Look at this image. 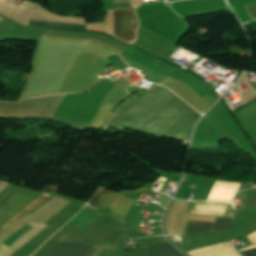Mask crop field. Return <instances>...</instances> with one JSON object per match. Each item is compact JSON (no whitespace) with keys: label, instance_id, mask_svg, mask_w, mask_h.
I'll list each match as a JSON object with an SVG mask.
<instances>
[{"label":"crop field","instance_id":"obj_6","mask_svg":"<svg viewBox=\"0 0 256 256\" xmlns=\"http://www.w3.org/2000/svg\"><path fill=\"white\" fill-rule=\"evenodd\" d=\"M96 247L58 243L45 256H89Z\"/></svg>","mask_w":256,"mask_h":256},{"label":"crop field","instance_id":"obj_1","mask_svg":"<svg viewBox=\"0 0 256 256\" xmlns=\"http://www.w3.org/2000/svg\"><path fill=\"white\" fill-rule=\"evenodd\" d=\"M199 116L200 115L198 113L189 108L170 92L161 87H156L132 108L116 119L112 124L131 125L134 127L175 135ZM195 121L175 135V137L186 140ZM140 128L135 129L160 134ZM166 136L173 137L172 135Z\"/></svg>","mask_w":256,"mask_h":256},{"label":"crop field","instance_id":"obj_7","mask_svg":"<svg viewBox=\"0 0 256 256\" xmlns=\"http://www.w3.org/2000/svg\"><path fill=\"white\" fill-rule=\"evenodd\" d=\"M148 256H183L168 243L149 246Z\"/></svg>","mask_w":256,"mask_h":256},{"label":"crop field","instance_id":"obj_13","mask_svg":"<svg viewBox=\"0 0 256 256\" xmlns=\"http://www.w3.org/2000/svg\"><path fill=\"white\" fill-rule=\"evenodd\" d=\"M253 18H256V4L247 6Z\"/></svg>","mask_w":256,"mask_h":256},{"label":"crop field","instance_id":"obj_9","mask_svg":"<svg viewBox=\"0 0 256 256\" xmlns=\"http://www.w3.org/2000/svg\"><path fill=\"white\" fill-rule=\"evenodd\" d=\"M28 25H37V26H47V27H57V28L85 30V25L47 23V22L34 21V20H30Z\"/></svg>","mask_w":256,"mask_h":256},{"label":"crop field","instance_id":"obj_12","mask_svg":"<svg viewBox=\"0 0 256 256\" xmlns=\"http://www.w3.org/2000/svg\"><path fill=\"white\" fill-rule=\"evenodd\" d=\"M244 256H256V248L242 251L241 252Z\"/></svg>","mask_w":256,"mask_h":256},{"label":"crop field","instance_id":"obj_14","mask_svg":"<svg viewBox=\"0 0 256 256\" xmlns=\"http://www.w3.org/2000/svg\"><path fill=\"white\" fill-rule=\"evenodd\" d=\"M3 183V181L0 180V185Z\"/></svg>","mask_w":256,"mask_h":256},{"label":"crop field","instance_id":"obj_11","mask_svg":"<svg viewBox=\"0 0 256 256\" xmlns=\"http://www.w3.org/2000/svg\"><path fill=\"white\" fill-rule=\"evenodd\" d=\"M234 218L218 217L213 232L231 230Z\"/></svg>","mask_w":256,"mask_h":256},{"label":"crop field","instance_id":"obj_3","mask_svg":"<svg viewBox=\"0 0 256 256\" xmlns=\"http://www.w3.org/2000/svg\"><path fill=\"white\" fill-rule=\"evenodd\" d=\"M64 95L41 97L19 101L17 103H0V116H27L51 118Z\"/></svg>","mask_w":256,"mask_h":256},{"label":"crop field","instance_id":"obj_5","mask_svg":"<svg viewBox=\"0 0 256 256\" xmlns=\"http://www.w3.org/2000/svg\"><path fill=\"white\" fill-rule=\"evenodd\" d=\"M138 19L134 9L114 10V36L131 44L135 40Z\"/></svg>","mask_w":256,"mask_h":256},{"label":"crop field","instance_id":"obj_4","mask_svg":"<svg viewBox=\"0 0 256 256\" xmlns=\"http://www.w3.org/2000/svg\"><path fill=\"white\" fill-rule=\"evenodd\" d=\"M134 200L99 186L87 206L100 210L124 222L128 209Z\"/></svg>","mask_w":256,"mask_h":256},{"label":"crop field","instance_id":"obj_2","mask_svg":"<svg viewBox=\"0 0 256 256\" xmlns=\"http://www.w3.org/2000/svg\"><path fill=\"white\" fill-rule=\"evenodd\" d=\"M123 54L182 81L196 91L209 106L218 98L212 89L190 73L177 69L131 47L125 50Z\"/></svg>","mask_w":256,"mask_h":256},{"label":"crop field","instance_id":"obj_10","mask_svg":"<svg viewBox=\"0 0 256 256\" xmlns=\"http://www.w3.org/2000/svg\"><path fill=\"white\" fill-rule=\"evenodd\" d=\"M212 225L213 223L189 221L186 233L211 231Z\"/></svg>","mask_w":256,"mask_h":256},{"label":"crop field","instance_id":"obj_8","mask_svg":"<svg viewBox=\"0 0 256 256\" xmlns=\"http://www.w3.org/2000/svg\"><path fill=\"white\" fill-rule=\"evenodd\" d=\"M51 197L50 195L43 194L41 197H39L37 200H35L33 203H31L29 206H27L23 211H21L17 216L10 219L4 226L0 228V235L7 230L9 227H11L15 222H17L20 218H22L24 215L29 213L31 210H33L35 207L40 205L42 202H44L46 199ZM21 220V219H20Z\"/></svg>","mask_w":256,"mask_h":256}]
</instances>
